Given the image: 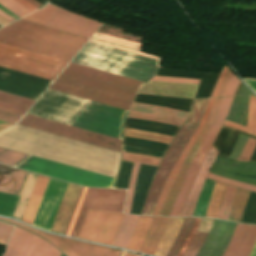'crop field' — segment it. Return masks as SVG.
<instances>
[{"mask_svg":"<svg viewBox=\"0 0 256 256\" xmlns=\"http://www.w3.org/2000/svg\"><path fill=\"white\" fill-rule=\"evenodd\" d=\"M124 254H125V253H124V252H122L120 256H124Z\"/></svg>","mask_w":256,"mask_h":256,"instance_id":"crop-field-68","label":"crop field"},{"mask_svg":"<svg viewBox=\"0 0 256 256\" xmlns=\"http://www.w3.org/2000/svg\"><path fill=\"white\" fill-rule=\"evenodd\" d=\"M124 214L89 210L78 238L111 245Z\"/></svg>","mask_w":256,"mask_h":256,"instance_id":"crop-field-10","label":"crop field"},{"mask_svg":"<svg viewBox=\"0 0 256 256\" xmlns=\"http://www.w3.org/2000/svg\"><path fill=\"white\" fill-rule=\"evenodd\" d=\"M256 240V226L237 224L223 256H249Z\"/></svg>","mask_w":256,"mask_h":256,"instance_id":"crop-field-19","label":"crop field"},{"mask_svg":"<svg viewBox=\"0 0 256 256\" xmlns=\"http://www.w3.org/2000/svg\"><path fill=\"white\" fill-rule=\"evenodd\" d=\"M90 42H94V43H98V44L106 45V46H109V47H113V48H117V49L125 50V51H128V52H132V53L140 54V55H143V56H147V57H151V58H155V59H159V60L161 59V58H159V57L152 56V55H149V54H146V53L140 52V51H136V50L128 49V48H125V47H121V46H117V45L109 44V43L102 42V41H98V40H94V39H90Z\"/></svg>","mask_w":256,"mask_h":256,"instance_id":"crop-field-52","label":"crop field"},{"mask_svg":"<svg viewBox=\"0 0 256 256\" xmlns=\"http://www.w3.org/2000/svg\"><path fill=\"white\" fill-rule=\"evenodd\" d=\"M225 184L215 183L214 190L211 196V200L207 209L205 217L216 218L220 207L222 196L225 190Z\"/></svg>","mask_w":256,"mask_h":256,"instance_id":"crop-field-37","label":"crop field"},{"mask_svg":"<svg viewBox=\"0 0 256 256\" xmlns=\"http://www.w3.org/2000/svg\"><path fill=\"white\" fill-rule=\"evenodd\" d=\"M12 171L13 168L0 165V191ZM27 174V172L14 169L2 191L19 195ZM3 192H0V214L11 217L19 196Z\"/></svg>","mask_w":256,"mask_h":256,"instance_id":"crop-field-15","label":"crop field"},{"mask_svg":"<svg viewBox=\"0 0 256 256\" xmlns=\"http://www.w3.org/2000/svg\"><path fill=\"white\" fill-rule=\"evenodd\" d=\"M233 98L234 97L223 98L222 105L218 112L217 118H216L213 126L209 130L208 134L206 135L201 147L199 148V150H198V152L188 170V173H187L186 178L183 182V185L180 189V192L173 204L172 210L170 212V216H180L181 215V211H182L187 193L194 181V178L199 170V167H200L208 149L212 146V144L217 136V133L228 114V111L230 109Z\"/></svg>","mask_w":256,"mask_h":256,"instance_id":"crop-field-9","label":"crop field"},{"mask_svg":"<svg viewBox=\"0 0 256 256\" xmlns=\"http://www.w3.org/2000/svg\"><path fill=\"white\" fill-rule=\"evenodd\" d=\"M184 218L171 217L167 225L166 231L156 249L155 256H167L173 242L175 241Z\"/></svg>","mask_w":256,"mask_h":256,"instance_id":"crop-field-28","label":"crop field"},{"mask_svg":"<svg viewBox=\"0 0 256 256\" xmlns=\"http://www.w3.org/2000/svg\"><path fill=\"white\" fill-rule=\"evenodd\" d=\"M211 173L221 175L227 178L238 180L241 182L256 185V179L245 178L234 176L233 174H240L244 176L256 177V164L252 163H237L234 161H229L227 159L217 157Z\"/></svg>","mask_w":256,"mask_h":256,"instance_id":"crop-field-20","label":"crop field"},{"mask_svg":"<svg viewBox=\"0 0 256 256\" xmlns=\"http://www.w3.org/2000/svg\"><path fill=\"white\" fill-rule=\"evenodd\" d=\"M84 189H85V188L83 187V188H82V191H81V193H80L79 199H78V201H77L75 210H74V212H73L71 221H70V223H69L68 229H69V227H70V224H71V222H72V219H73V217H74L75 211H76V209H77V206H78V204H79V201H80V199H81V196H82V194H83ZM68 229H67V231H66V234H67V232H68ZM66 234H65V235H66Z\"/></svg>","mask_w":256,"mask_h":256,"instance_id":"crop-field-58","label":"crop field"},{"mask_svg":"<svg viewBox=\"0 0 256 256\" xmlns=\"http://www.w3.org/2000/svg\"><path fill=\"white\" fill-rule=\"evenodd\" d=\"M61 256H63V255H61Z\"/></svg>","mask_w":256,"mask_h":256,"instance_id":"crop-field-72","label":"crop field"},{"mask_svg":"<svg viewBox=\"0 0 256 256\" xmlns=\"http://www.w3.org/2000/svg\"><path fill=\"white\" fill-rule=\"evenodd\" d=\"M151 80L172 82V83H190V84H199V82H200V80H194V79L167 78V77H159V76H154Z\"/></svg>","mask_w":256,"mask_h":256,"instance_id":"crop-field-51","label":"crop field"},{"mask_svg":"<svg viewBox=\"0 0 256 256\" xmlns=\"http://www.w3.org/2000/svg\"><path fill=\"white\" fill-rule=\"evenodd\" d=\"M126 190L88 188L73 230L72 237H78L82 222L88 209L122 212Z\"/></svg>","mask_w":256,"mask_h":256,"instance_id":"crop-field-11","label":"crop field"},{"mask_svg":"<svg viewBox=\"0 0 256 256\" xmlns=\"http://www.w3.org/2000/svg\"><path fill=\"white\" fill-rule=\"evenodd\" d=\"M227 69H228L227 67H224V69L222 70L220 78H219V80H218V82H217V84H216V86H215V88L213 90V93H212L210 98H213V97L217 96V93H218L220 85H221V83H222V81H223V79L225 77Z\"/></svg>","mask_w":256,"mask_h":256,"instance_id":"crop-field-55","label":"crop field"},{"mask_svg":"<svg viewBox=\"0 0 256 256\" xmlns=\"http://www.w3.org/2000/svg\"><path fill=\"white\" fill-rule=\"evenodd\" d=\"M218 152L219 151L212 146L211 149L209 150V152L207 153V155L200 167V170L195 178V181L188 193L181 216H192L193 215V211H194L202 184H203L205 177L211 167V164Z\"/></svg>","mask_w":256,"mask_h":256,"instance_id":"crop-field-23","label":"crop field"},{"mask_svg":"<svg viewBox=\"0 0 256 256\" xmlns=\"http://www.w3.org/2000/svg\"><path fill=\"white\" fill-rule=\"evenodd\" d=\"M214 183H215L214 181H210L207 179L205 180V183L202 188L193 216H200V217L205 216Z\"/></svg>","mask_w":256,"mask_h":256,"instance_id":"crop-field-36","label":"crop field"},{"mask_svg":"<svg viewBox=\"0 0 256 256\" xmlns=\"http://www.w3.org/2000/svg\"><path fill=\"white\" fill-rule=\"evenodd\" d=\"M207 178L217 180V181H220V182L228 184V185H232V186L243 188V189H246V190H249V191H255L256 192V186H252V185L232 181V180H229L227 178L219 177V176H216V175L210 174V173L208 174Z\"/></svg>","mask_w":256,"mask_h":256,"instance_id":"crop-field-45","label":"crop field"},{"mask_svg":"<svg viewBox=\"0 0 256 256\" xmlns=\"http://www.w3.org/2000/svg\"><path fill=\"white\" fill-rule=\"evenodd\" d=\"M16 1H18L21 4H23L24 6H26L27 8H29L32 11L38 9L35 6H33L32 4H30L29 2H27L26 0H16Z\"/></svg>","mask_w":256,"mask_h":256,"instance_id":"crop-field-57","label":"crop field"},{"mask_svg":"<svg viewBox=\"0 0 256 256\" xmlns=\"http://www.w3.org/2000/svg\"><path fill=\"white\" fill-rule=\"evenodd\" d=\"M0 5H2L20 18L32 13L14 0H0Z\"/></svg>","mask_w":256,"mask_h":256,"instance_id":"crop-field-43","label":"crop field"},{"mask_svg":"<svg viewBox=\"0 0 256 256\" xmlns=\"http://www.w3.org/2000/svg\"><path fill=\"white\" fill-rule=\"evenodd\" d=\"M81 188V186L68 184L50 231L65 234Z\"/></svg>","mask_w":256,"mask_h":256,"instance_id":"crop-field-22","label":"crop field"},{"mask_svg":"<svg viewBox=\"0 0 256 256\" xmlns=\"http://www.w3.org/2000/svg\"><path fill=\"white\" fill-rule=\"evenodd\" d=\"M67 182L49 179L37 214L35 216L33 226L50 230L59 204L65 192Z\"/></svg>","mask_w":256,"mask_h":256,"instance_id":"crop-field-14","label":"crop field"},{"mask_svg":"<svg viewBox=\"0 0 256 256\" xmlns=\"http://www.w3.org/2000/svg\"><path fill=\"white\" fill-rule=\"evenodd\" d=\"M239 133L256 138L254 136L239 132L237 130L222 126L215 142L214 146L220 151L218 156L227 158Z\"/></svg>","mask_w":256,"mask_h":256,"instance_id":"crop-field-29","label":"crop field"},{"mask_svg":"<svg viewBox=\"0 0 256 256\" xmlns=\"http://www.w3.org/2000/svg\"><path fill=\"white\" fill-rule=\"evenodd\" d=\"M225 126L256 136V98L250 97L246 127L225 121Z\"/></svg>","mask_w":256,"mask_h":256,"instance_id":"crop-field-34","label":"crop field"},{"mask_svg":"<svg viewBox=\"0 0 256 256\" xmlns=\"http://www.w3.org/2000/svg\"><path fill=\"white\" fill-rule=\"evenodd\" d=\"M250 256H256V244H255L254 249H253Z\"/></svg>","mask_w":256,"mask_h":256,"instance_id":"crop-field-67","label":"crop field"},{"mask_svg":"<svg viewBox=\"0 0 256 256\" xmlns=\"http://www.w3.org/2000/svg\"><path fill=\"white\" fill-rule=\"evenodd\" d=\"M255 144H256V140L249 138L242 153H241L239 160L249 161L251 158V155L254 151Z\"/></svg>","mask_w":256,"mask_h":256,"instance_id":"crop-field-50","label":"crop field"},{"mask_svg":"<svg viewBox=\"0 0 256 256\" xmlns=\"http://www.w3.org/2000/svg\"><path fill=\"white\" fill-rule=\"evenodd\" d=\"M0 24L6 25V24H8V22L0 17Z\"/></svg>","mask_w":256,"mask_h":256,"instance_id":"crop-field-66","label":"crop field"},{"mask_svg":"<svg viewBox=\"0 0 256 256\" xmlns=\"http://www.w3.org/2000/svg\"><path fill=\"white\" fill-rule=\"evenodd\" d=\"M48 179V177L40 175L38 176L31 197L29 199L28 205L24 212L23 218L21 220L22 222L32 224V221L34 219L35 213L37 211L38 205L40 203Z\"/></svg>","mask_w":256,"mask_h":256,"instance_id":"crop-field-27","label":"crop field"},{"mask_svg":"<svg viewBox=\"0 0 256 256\" xmlns=\"http://www.w3.org/2000/svg\"><path fill=\"white\" fill-rule=\"evenodd\" d=\"M236 189H237L236 187H232L228 185L226 186L224 198H223L220 211L217 217L218 219H225V220L228 219Z\"/></svg>","mask_w":256,"mask_h":256,"instance_id":"crop-field-39","label":"crop field"},{"mask_svg":"<svg viewBox=\"0 0 256 256\" xmlns=\"http://www.w3.org/2000/svg\"><path fill=\"white\" fill-rule=\"evenodd\" d=\"M250 161H256V148Z\"/></svg>","mask_w":256,"mask_h":256,"instance_id":"crop-field-65","label":"crop field"},{"mask_svg":"<svg viewBox=\"0 0 256 256\" xmlns=\"http://www.w3.org/2000/svg\"><path fill=\"white\" fill-rule=\"evenodd\" d=\"M169 217H156L150 232L140 250L141 253L153 255L161 236L166 228Z\"/></svg>","mask_w":256,"mask_h":256,"instance_id":"crop-field-26","label":"crop field"},{"mask_svg":"<svg viewBox=\"0 0 256 256\" xmlns=\"http://www.w3.org/2000/svg\"><path fill=\"white\" fill-rule=\"evenodd\" d=\"M247 84L248 86L254 91L256 92V80L254 79H247V78H242Z\"/></svg>","mask_w":256,"mask_h":256,"instance_id":"crop-field-56","label":"crop field"},{"mask_svg":"<svg viewBox=\"0 0 256 256\" xmlns=\"http://www.w3.org/2000/svg\"><path fill=\"white\" fill-rule=\"evenodd\" d=\"M87 40L21 20L0 29V43L68 61Z\"/></svg>","mask_w":256,"mask_h":256,"instance_id":"crop-field-3","label":"crop field"},{"mask_svg":"<svg viewBox=\"0 0 256 256\" xmlns=\"http://www.w3.org/2000/svg\"><path fill=\"white\" fill-rule=\"evenodd\" d=\"M248 99L247 96H236L234 98L229 116L227 119L234 121L236 123H239L241 125H244L246 120V113H247V105H248ZM244 113V116L242 115Z\"/></svg>","mask_w":256,"mask_h":256,"instance_id":"crop-field-33","label":"crop field"},{"mask_svg":"<svg viewBox=\"0 0 256 256\" xmlns=\"http://www.w3.org/2000/svg\"><path fill=\"white\" fill-rule=\"evenodd\" d=\"M248 193H249L248 191H245L239 188L237 189L232 210L228 220L239 222V223L241 222V218L243 215Z\"/></svg>","mask_w":256,"mask_h":256,"instance_id":"crop-field-35","label":"crop field"},{"mask_svg":"<svg viewBox=\"0 0 256 256\" xmlns=\"http://www.w3.org/2000/svg\"><path fill=\"white\" fill-rule=\"evenodd\" d=\"M93 38L141 51V45L139 44L131 43L128 41L120 40V39L109 37L106 35L96 33Z\"/></svg>","mask_w":256,"mask_h":256,"instance_id":"crop-field-44","label":"crop field"},{"mask_svg":"<svg viewBox=\"0 0 256 256\" xmlns=\"http://www.w3.org/2000/svg\"><path fill=\"white\" fill-rule=\"evenodd\" d=\"M235 225L226 221H215L197 256H222Z\"/></svg>","mask_w":256,"mask_h":256,"instance_id":"crop-field-17","label":"crop field"},{"mask_svg":"<svg viewBox=\"0 0 256 256\" xmlns=\"http://www.w3.org/2000/svg\"><path fill=\"white\" fill-rule=\"evenodd\" d=\"M86 99L48 89L28 114L67 124ZM127 111L87 100L68 123L121 138Z\"/></svg>","mask_w":256,"mask_h":256,"instance_id":"crop-field-1","label":"crop field"},{"mask_svg":"<svg viewBox=\"0 0 256 256\" xmlns=\"http://www.w3.org/2000/svg\"><path fill=\"white\" fill-rule=\"evenodd\" d=\"M247 137L243 136V135H239L230 155H229V158H232V159H238L246 141H247Z\"/></svg>","mask_w":256,"mask_h":256,"instance_id":"crop-field-47","label":"crop field"},{"mask_svg":"<svg viewBox=\"0 0 256 256\" xmlns=\"http://www.w3.org/2000/svg\"><path fill=\"white\" fill-rule=\"evenodd\" d=\"M33 102L34 100L26 99L0 91L1 108L25 114V112L29 109Z\"/></svg>","mask_w":256,"mask_h":256,"instance_id":"crop-field-30","label":"crop field"},{"mask_svg":"<svg viewBox=\"0 0 256 256\" xmlns=\"http://www.w3.org/2000/svg\"><path fill=\"white\" fill-rule=\"evenodd\" d=\"M72 63L50 89L129 110L142 82Z\"/></svg>","mask_w":256,"mask_h":256,"instance_id":"crop-field-2","label":"crop field"},{"mask_svg":"<svg viewBox=\"0 0 256 256\" xmlns=\"http://www.w3.org/2000/svg\"><path fill=\"white\" fill-rule=\"evenodd\" d=\"M221 99L216 100L214 108H213V110H212V112H211V114H210V116H209V118L206 122V125H205L203 131L201 132L200 136L196 140L190 154L188 155V157H187V159H186V161H185V163H184V165H183V167H182V169H181V171H180V173H179V175H178V177H177V179H176V181H175V183H174V185L171 189V192L169 194L168 200L166 202L165 208H164L163 213H162L161 216H168L169 215L170 209H171L172 204H173V202H174V200L177 196V193H178L179 188L182 184V181L185 177V174H186V172L189 168V165H190V163H191V161H192L200 143L202 142L203 138L205 137V135L207 134L208 130L210 129V127L212 126V124L215 120V117L217 115Z\"/></svg>","mask_w":256,"mask_h":256,"instance_id":"crop-field-21","label":"crop field"},{"mask_svg":"<svg viewBox=\"0 0 256 256\" xmlns=\"http://www.w3.org/2000/svg\"><path fill=\"white\" fill-rule=\"evenodd\" d=\"M138 217L139 216L136 215H124L119 230L112 244L113 246H117L124 249L126 248Z\"/></svg>","mask_w":256,"mask_h":256,"instance_id":"crop-field-32","label":"crop field"},{"mask_svg":"<svg viewBox=\"0 0 256 256\" xmlns=\"http://www.w3.org/2000/svg\"><path fill=\"white\" fill-rule=\"evenodd\" d=\"M21 20L88 38H90L102 24L98 21L58 9L49 4L44 8L22 18Z\"/></svg>","mask_w":256,"mask_h":256,"instance_id":"crop-field-7","label":"crop field"},{"mask_svg":"<svg viewBox=\"0 0 256 256\" xmlns=\"http://www.w3.org/2000/svg\"><path fill=\"white\" fill-rule=\"evenodd\" d=\"M27 1H29L30 3H32L33 5H35L36 7H41V6H43V5H41L40 3H38L37 1H35V0H27Z\"/></svg>","mask_w":256,"mask_h":256,"instance_id":"crop-field-64","label":"crop field"},{"mask_svg":"<svg viewBox=\"0 0 256 256\" xmlns=\"http://www.w3.org/2000/svg\"><path fill=\"white\" fill-rule=\"evenodd\" d=\"M23 114L15 113L0 108V120L15 124Z\"/></svg>","mask_w":256,"mask_h":256,"instance_id":"crop-field-48","label":"crop field"},{"mask_svg":"<svg viewBox=\"0 0 256 256\" xmlns=\"http://www.w3.org/2000/svg\"><path fill=\"white\" fill-rule=\"evenodd\" d=\"M241 223L256 224V193H249Z\"/></svg>","mask_w":256,"mask_h":256,"instance_id":"crop-field-40","label":"crop field"},{"mask_svg":"<svg viewBox=\"0 0 256 256\" xmlns=\"http://www.w3.org/2000/svg\"><path fill=\"white\" fill-rule=\"evenodd\" d=\"M86 189H87V188H86ZM86 189H85V191H84V194H85V192H86ZM84 194H83V196H82V199H81L80 204H79V206H78L77 212H76V214H75V217H74V219H73V222H72L71 227H70V229H69V232H68V234H67L68 236L70 235V232H71V230H72V227H73V224H74V222H75V219H76L77 213H78V211H79L81 202H82V200H83Z\"/></svg>","mask_w":256,"mask_h":256,"instance_id":"crop-field-59","label":"crop field"},{"mask_svg":"<svg viewBox=\"0 0 256 256\" xmlns=\"http://www.w3.org/2000/svg\"><path fill=\"white\" fill-rule=\"evenodd\" d=\"M208 231L198 229L196 236L185 252L184 256H196L198 250L200 249Z\"/></svg>","mask_w":256,"mask_h":256,"instance_id":"crop-field-42","label":"crop field"},{"mask_svg":"<svg viewBox=\"0 0 256 256\" xmlns=\"http://www.w3.org/2000/svg\"><path fill=\"white\" fill-rule=\"evenodd\" d=\"M158 168L141 164L130 213L140 214L151 181Z\"/></svg>","mask_w":256,"mask_h":256,"instance_id":"crop-field-24","label":"crop field"},{"mask_svg":"<svg viewBox=\"0 0 256 256\" xmlns=\"http://www.w3.org/2000/svg\"><path fill=\"white\" fill-rule=\"evenodd\" d=\"M216 99H210L209 102H208V105H207V108L205 110V113H204V116L202 118V121L200 123V125L198 126V128L196 129V131L194 132V134L192 135V137L190 138L189 142L187 143L186 147L184 148L183 152L181 153L180 157L178 158L176 164H175V167L173 168L169 178L167 179L161 193H160V196L158 198V201L155 205V208H154V212L152 215H156V216H160L161 213H162V210L164 208V205H165V202L167 200V197H168V194L170 192V189L179 173V170L183 164V162L185 161L187 155L189 154L197 136L199 135L200 131L202 130L208 116H209V113L213 107V104L215 102Z\"/></svg>","mask_w":256,"mask_h":256,"instance_id":"crop-field-18","label":"crop field"},{"mask_svg":"<svg viewBox=\"0 0 256 256\" xmlns=\"http://www.w3.org/2000/svg\"><path fill=\"white\" fill-rule=\"evenodd\" d=\"M194 217H187L184 219L182 228H181V232L176 240V242L174 243L171 251L169 252L168 256H175V254L177 253L178 249L180 248L182 242L184 241L190 227L192 224Z\"/></svg>","mask_w":256,"mask_h":256,"instance_id":"crop-field-41","label":"crop field"},{"mask_svg":"<svg viewBox=\"0 0 256 256\" xmlns=\"http://www.w3.org/2000/svg\"><path fill=\"white\" fill-rule=\"evenodd\" d=\"M67 63L68 61L0 44V66L9 69L53 80Z\"/></svg>","mask_w":256,"mask_h":256,"instance_id":"crop-field-6","label":"crop field"},{"mask_svg":"<svg viewBox=\"0 0 256 256\" xmlns=\"http://www.w3.org/2000/svg\"><path fill=\"white\" fill-rule=\"evenodd\" d=\"M0 15L10 22L16 21L13 18H11L10 16H8L7 14H5L4 12H2L1 10H0Z\"/></svg>","mask_w":256,"mask_h":256,"instance_id":"crop-field-61","label":"crop field"},{"mask_svg":"<svg viewBox=\"0 0 256 256\" xmlns=\"http://www.w3.org/2000/svg\"><path fill=\"white\" fill-rule=\"evenodd\" d=\"M154 217L141 216L126 249L139 252L152 224Z\"/></svg>","mask_w":256,"mask_h":256,"instance_id":"crop-field-31","label":"crop field"},{"mask_svg":"<svg viewBox=\"0 0 256 256\" xmlns=\"http://www.w3.org/2000/svg\"><path fill=\"white\" fill-rule=\"evenodd\" d=\"M11 125H13V124H9V123H5V122L0 121V131L9 127V126H11Z\"/></svg>","mask_w":256,"mask_h":256,"instance_id":"crop-field-62","label":"crop field"},{"mask_svg":"<svg viewBox=\"0 0 256 256\" xmlns=\"http://www.w3.org/2000/svg\"><path fill=\"white\" fill-rule=\"evenodd\" d=\"M19 125L83 141L121 152V139L101 135L58 122L26 114Z\"/></svg>","mask_w":256,"mask_h":256,"instance_id":"crop-field-8","label":"crop field"},{"mask_svg":"<svg viewBox=\"0 0 256 256\" xmlns=\"http://www.w3.org/2000/svg\"><path fill=\"white\" fill-rule=\"evenodd\" d=\"M0 219H4V218L0 217ZM4 220L18 224L24 228H27L41 235L46 240L50 241L51 243L56 245L58 248H60L67 256H119L121 253L120 251L112 250L109 248L39 232L35 229L22 225L13 220H8V219H4Z\"/></svg>","mask_w":256,"mask_h":256,"instance_id":"crop-field-13","label":"crop field"},{"mask_svg":"<svg viewBox=\"0 0 256 256\" xmlns=\"http://www.w3.org/2000/svg\"><path fill=\"white\" fill-rule=\"evenodd\" d=\"M124 136L153 140V141L163 142L167 144H170L171 140L173 139L172 136L145 132V131H138V130H129V129H125Z\"/></svg>","mask_w":256,"mask_h":256,"instance_id":"crop-field-38","label":"crop field"},{"mask_svg":"<svg viewBox=\"0 0 256 256\" xmlns=\"http://www.w3.org/2000/svg\"><path fill=\"white\" fill-rule=\"evenodd\" d=\"M208 100L209 99L194 100L191 115L189 116L187 122L180 128L177 135L174 137L161 161L159 169L150 186L142 214H152V210L159 196L161 188L167 179L174 163L176 162L177 158L179 157L180 153L194 132L196 126L200 122Z\"/></svg>","mask_w":256,"mask_h":256,"instance_id":"crop-field-5","label":"crop field"},{"mask_svg":"<svg viewBox=\"0 0 256 256\" xmlns=\"http://www.w3.org/2000/svg\"><path fill=\"white\" fill-rule=\"evenodd\" d=\"M61 253L48 242L16 228L3 256H60Z\"/></svg>","mask_w":256,"mask_h":256,"instance_id":"crop-field-12","label":"crop field"},{"mask_svg":"<svg viewBox=\"0 0 256 256\" xmlns=\"http://www.w3.org/2000/svg\"><path fill=\"white\" fill-rule=\"evenodd\" d=\"M14 227L0 222V245L6 246Z\"/></svg>","mask_w":256,"mask_h":256,"instance_id":"crop-field-49","label":"crop field"},{"mask_svg":"<svg viewBox=\"0 0 256 256\" xmlns=\"http://www.w3.org/2000/svg\"><path fill=\"white\" fill-rule=\"evenodd\" d=\"M189 114L188 112L134 102L129 115H127L130 118L159 121L180 127Z\"/></svg>","mask_w":256,"mask_h":256,"instance_id":"crop-field-16","label":"crop field"},{"mask_svg":"<svg viewBox=\"0 0 256 256\" xmlns=\"http://www.w3.org/2000/svg\"><path fill=\"white\" fill-rule=\"evenodd\" d=\"M125 256H129V254L128 253H126V255Z\"/></svg>","mask_w":256,"mask_h":256,"instance_id":"crop-field-69","label":"crop field"},{"mask_svg":"<svg viewBox=\"0 0 256 256\" xmlns=\"http://www.w3.org/2000/svg\"><path fill=\"white\" fill-rule=\"evenodd\" d=\"M0 28H1V26H0Z\"/></svg>","mask_w":256,"mask_h":256,"instance_id":"crop-field-71","label":"crop field"},{"mask_svg":"<svg viewBox=\"0 0 256 256\" xmlns=\"http://www.w3.org/2000/svg\"><path fill=\"white\" fill-rule=\"evenodd\" d=\"M240 83L241 82L235 77V75H233L224 97L234 95L235 91H236L237 87L240 85Z\"/></svg>","mask_w":256,"mask_h":256,"instance_id":"crop-field-53","label":"crop field"},{"mask_svg":"<svg viewBox=\"0 0 256 256\" xmlns=\"http://www.w3.org/2000/svg\"><path fill=\"white\" fill-rule=\"evenodd\" d=\"M26 154L0 147V163L14 166ZM15 167L84 186L114 188L115 178L27 155Z\"/></svg>","mask_w":256,"mask_h":256,"instance_id":"crop-field-4","label":"crop field"},{"mask_svg":"<svg viewBox=\"0 0 256 256\" xmlns=\"http://www.w3.org/2000/svg\"><path fill=\"white\" fill-rule=\"evenodd\" d=\"M130 256H136V255H132V254H130Z\"/></svg>","mask_w":256,"mask_h":256,"instance_id":"crop-field-70","label":"crop field"},{"mask_svg":"<svg viewBox=\"0 0 256 256\" xmlns=\"http://www.w3.org/2000/svg\"><path fill=\"white\" fill-rule=\"evenodd\" d=\"M232 74H233V72L228 70V72L226 74V77L224 79V82H223V84L221 86V89H220L219 94H218L217 97H223L224 96V93L226 91L227 85H228V83L230 81V78H231Z\"/></svg>","mask_w":256,"mask_h":256,"instance_id":"crop-field-54","label":"crop field"},{"mask_svg":"<svg viewBox=\"0 0 256 256\" xmlns=\"http://www.w3.org/2000/svg\"><path fill=\"white\" fill-rule=\"evenodd\" d=\"M199 220H200V218H195L194 219L192 227H191L185 241L183 242L181 248L179 249L178 253L176 254V256H183V254L186 251L187 247L189 246L194 234L197 232V228H198V225H199Z\"/></svg>","mask_w":256,"mask_h":256,"instance_id":"crop-field-46","label":"crop field"},{"mask_svg":"<svg viewBox=\"0 0 256 256\" xmlns=\"http://www.w3.org/2000/svg\"><path fill=\"white\" fill-rule=\"evenodd\" d=\"M238 95H250V91L245 87V85L243 84L240 92Z\"/></svg>","mask_w":256,"mask_h":256,"instance_id":"crop-field-60","label":"crop field"},{"mask_svg":"<svg viewBox=\"0 0 256 256\" xmlns=\"http://www.w3.org/2000/svg\"><path fill=\"white\" fill-rule=\"evenodd\" d=\"M122 159L134 162L132 174H131V178H130V182H129L128 192H127L125 209H124V213H129L132 195H133L134 186H135V181H136V176H137V172H138L140 163L158 166L161 158L147 156V155H141V154L122 152Z\"/></svg>","mask_w":256,"mask_h":256,"instance_id":"crop-field-25","label":"crop field"},{"mask_svg":"<svg viewBox=\"0 0 256 256\" xmlns=\"http://www.w3.org/2000/svg\"><path fill=\"white\" fill-rule=\"evenodd\" d=\"M0 9L3 10L4 12H6L7 14H9L10 16H12L14 19H16V20L20 19L17 16H15L14 14H12L11 12H9L8 10H6L5 8H3L2 6H0Z\"/></svg>","mask_w":256,"mask_h":256,"instance_id":"crop-field-63","label":"crop field"}]
</instances>
